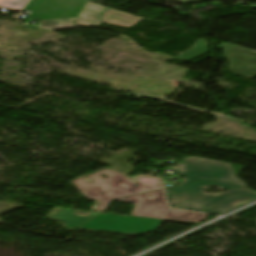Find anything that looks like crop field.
<instances>
[{
    "label": "crop field",
    "mask_w": 256,
    "mask_h": 256,
    "mask_svg": "<svg viewBox=\"0 0 256 256\" xmlns=\"http://www.w3.org/2000/svg\"><path fill=\"white\" fill-rule=\"evenodd\" d=\"M0 7L30 10L28 17L41 20L38 27L46 30L100 25L96 17L106 9L87 0H0Z\"/></svg>",
    "instance_id": "crop-field-1"
},
{
    "label": "crop field",
    "mask_w": 256,
    "mask_h": 256,
    "mask_svg": "<svg viewBox=\"0 0 256 256\" xmlns=\"http://www.w3.org/2000/svg\"><path fill=\"white\" fill-rule=\"evenodd\" d=\"M206 185L219 186L228 191L219 194H205L201 187ZM166 192L171 207L216 214H222L256 199V193L252 190L220 181L181 184L167 189Z\"/></svg>",
    "instance_id": "crop-field-2"
},
{
    "label": "crop field",
    "mask_w": 256,
    "mask_h": 256,
    "mask_svg": "<svg viewBox=\"0 0 256 256\" xmlns=\"http://www.w3.org/2000/svg\"><path fill=\"white\" fill-rule=\"evenodd\" d=\"M103 172L110 178L102 180L104 178L100 174ZM89 177L95 182L94 184L87 183L83 178L74 181V183L87 198L96 199L100 203L96 208L98 212L106 209L113 198L162 189L159 178H137L139 183L137 187L130 179L108 169L89 175ZM123 185L126 188H123ZM103 191L106 193L103 194Z\"/></svg>",
    "instance_id": "crop-field-3"
},
{
    "label": "crop field",
    "mask_w": 256,
    "mask_h": 256,
    "mask_svg": "<svg viewBox=\"0 0 256 256\" xmlns=\"http://www.w3.org/2000/svg\"><path fill=\"white\" fill-rule=\"evenodd\" d=\"M149 195H151L149 197ZM117 201L137 203L132 214L134 216L177 220L199 223L205 219V214L169 209L166 206L163 191H153L115 199Z\"/></svg>",
    "instance_id": "crop-field-4"
},
{
    "label": "crop field",
    "mask_w": 256,
    "mask_h": 256,
    "mask_svg": "<svg viewBox=\"0 0 256 256\" xmlns=\"http://www.w3.org/2000/svg\"><path fill=\"white\" fill-rule=\"evenodd\" d=\"M179 165L181 172L172 168L168 170L183 175L184 179L182 183L197 179H218L245 186L244 182L235 179L231 165L228 163L191 157L183 159V163Z\"/></svg>",
    "instance_id": "crop-field-5"
},
{
    "label": "crop field",
    "mask_w": 256,
    "mask_h": 256,
    "mask_svg": "<svg viewBox=\"0 0 256 256\" xmlns=\"http://www.w3.org/2000/svg\"><path fill=\"white\" fill-rule=\"evenodd\" d=\"M160 221L158 219L100 213L81 228L137 234L157 228Z\"/></svg>",
    "instance_id": "crop-field-6"
},
{
    "label": "crop field",
    "mask_w": 256,
    "mask_h": 256,
    "mask_svg": "<svg viewBox=\"0 0 256 256\" xmlns=\"http://www.w3.org/2000/svg\"><path fill=\"white\" fill-rule=\"evenodd\" d=\"M220 46L224 56L231 57L229 68L232 72L251 78L256 77L255 51L224 42Z\"/></svg>",
    "instance_id": "crop-field-7"
},
{
    "label": "crop field",
    "mask_w": 256,
    "mask_h": 256,
    "mask_svg": "<svg viewBox=\"0 0 256 256\" xmlns=\"http://www.w3.org/2000/svg\"><path fill=\"white\" fill-rule=\"evenodd\" d=\"M99 18L102 19L101 22L125 27H130L142 19L140 17L111 8H108Z\"/></svg>",
    "instance_id": "crop-field-8"
},
{
    "label": "crop field",
    "mask_w": 256,
    "mask_h": 256,
    "mask_svg": "<svg viewBox=\"0 0 256 256\" xmlns=\"http://www.w3.org/2000/svg\"><path fill=\"white\" fill-rule=\"evenodd\" d=\"M74 212L76 211L63 209L58 214H56L53 218L65 222L68 228L76 229L98 213V212H93L87 218H84V217L72 215Z\"/></svg>",
    "instance_id": "crop-field-9"
},
{
    "label": "crop field",
    "mask_w": 256,
    "mask_h": 256,
    "mask_svg": "<svg viewBox=\"0 0 256 256\" xmlns=\"http://www.w3.org/2000/svg\"><path fill=\"white\" fill-rule=\"evenodd\" d=\"M208 53L207 42L205 39H199L194 46L183 54L175 57L184 61H190L197 57L203 56Z\"/></svg>",
    "instance_id": "crop-field-10"
},
{
    "label": "crop field",
    "mask_w": 256,
    "mask_h": 256,
    "mask_svg": "<svg viewBox=\"0 0 256 256\" xmlns=\"http://www.w3.org/2000/svg\"><path fill=\"white\" fill-rule=\"evenodd\" d=\"M172 1L192 2V1H200V0H172Z\"/></svg>",
    "instance_id": "crop-field-11"
}]
</instances>
